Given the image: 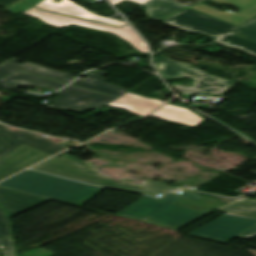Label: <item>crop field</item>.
Wrapping results in <instances>:
<instances>
[{
	"label": "crop field",
	"instance_id": "crop-field-1",
	"mask_svg": "<svg viewBox=\"0 0 256 256\" xmlns=\"http://www.w3.org/2000/svg\"><path fill=\"white\" fill-rule=\"evenodd\" d=\"M0 185L80 206L103 190L32 170L23 171L1 182Z\"/></svg>",
	"mask_w": 256,
	"mask_h": 256
},
{
	"label": "crop field",
	"instance_id": "crop-field-2",
	"mask_svg": "<svg viewBox=\"0 0 256 256\" xmlns=\"http://www.w3.org/2000/svg\"><path fill=\"white\" fill-rule=\"evenodd\" d=\"M33 169L84 181L86 183L131 190L153 196H156L158 193L164 195L171 190V187L166 183L154 180H150L141 186H129L118 183L108 177L94 172L85 161L68 154L58 158L53 157L33 167Z\"/></svg>",
	"mask_w": 256,
	"mask_h": 256
},
{
	"label": "crop field",
	"instance_id": "crop-field-3",
	"mask_svg": "<svg viewBox=\"0 0 256 256\" xmlns=\"http://www.w3.org/2000/svg\"><path fill=\"white\" fill-rule=\"evenodd\" d=\"M163 22L188 31L205 33L217 38L214 40L216 42L235 48H241L256 55V42L227 33V31L234 28L235 25L193 9L187 8L163 20Z\"/></svg>",
	"mask_w": 256,
	"mask_h": 256
},
{
	"label": "crop field",
	"instance_id": "crop-field-4",
	"mask_svg": "<svg viewBox=\"0 0 256 256\" xmlns=\"http://www.w3.org/2000/svg\"><path fill=\"white\" fill-rule=\"evenodd\" d=\"M158 63L163 64L164 67L162 69L159 68ZM156 69L165 79L182 76H188L195 79L193 87L172 85V87L184 94L193 92L223 94L236 83V81L225 80L219 76H211L190 64L174 62L164 56L157 59Z\"/></svg>",
	"mask_w": 256,
	"mask_h": 256
},
{
	"label": "crop field",
	"instance_id": "crop-field-5",
	"mask_svg": "<svg viewBox=\"0 0 256 256\" xmlns=\"http://www.w3.org/2000/svg\"><path fill=\"white\" fill-rule=\"evenodd\" d=\"M24 13L36 16L42 19L43 21L60 28H63L69 24H74V25H79L83 27L108 31L116 34L117 36H119L124 40L129 41L132 44V46L137 48L140 52H148V50H146L141 46L144 43L143 40L133 31V29L129 25L122 28H116L112 26L99 24V23H94L90 21H85L81 19H76V18H71L67 16H62V15L41 11L34 7L28 9Z\"/></svg>",
	"mask_w": 256,
	"mask_h": 256
},
{
	"label": "crop field",
	"instance_id": "crop-field-6",
	"mask_svg": "<svg viewBox=\"0 0 256 256\" xmlns=\"http://www.w3.org/2000/svg\"><path fill=\"white\" fill-rule=\"evenodd\" d=\"M116 97L104 95L90 90L69 85L58 92V99L54 105L42 103L55 109L65 110L66 108L82 112L86 109L99 108L110 103Z\"/></svg>",
	"mask_w": 256,
	"mask_h": 256
},
{
	"label": "crop field",
	"instance_id": "crop-field-7",
	"mask_svg": "<svg viewBox=\"0 0 256 256\" xmlns=\"http://www.w3.org/2000/svg\"><path fill=\"white\" fill-rule=\"evenodd\" d=\"M22 143H26L50 155L68 148L31 132L11 131L9 128L0 125V159Z\"/></svg>",
	"mask_w": 256,
	"mask_h": 256
},
{
	"label": "crop field",
	"instance_id": "crop-field-8",
	"mask_svg": "<svg viewBox=\"0 0 256 256\" xmlns=\"http://www.w3.org/2000/svg\"><path fill=\"white\" fill-rule=\"evenodd\" d=\"M256 225V220L226 214L191 234L227 241Z\"/></svg>",
	"mask_w": 256,
	"mask_h": 256
},
{
	"label": "crop field",
	"instance_id": "crop-field-9",
	"mask_svg": "<svg viewBox=\"0 0 256 256\" xmlns=\"http://www.w3.org/2000/svg\"><path fill=\"white\" fill-rule=\"evenodd\" d=\"M181 197L196 201L202 198L201 195L191 191H186L181 196L175 193H169L162 199L144 196L117 215L141 221Z\"/></svg>",
	"mask_w": 256,
	"mask_h": 256
},
{
	"label": "crop field",
	"instance_id": "crop-field-10",
	"mask_svg": "<svg viewBox=\"0 0 256 256\" xmlns=\"http://www.w3.org/2000/svg\"><path fill=\"white\" fill-rule=\"evenodd\" d=\"M211 211L202 213L171 204L142 222L177 230Z\"/></svg>",
	"mask_w": 256,
	"mask_h": 256
},
{
	"label": "crop field",
	"instance_id": "crop-field-11",
	"mask_svg": "<svg viewBox=\"0 0 256 256\" xmlns=\"http://www.w3.org/2000/svg\"><path fill=\"white\" fill-rule=\"evenodd\" d=\"M48 156L50 155L22 144L0 160V180Z\"/></svg>",
	"mask_w": 256,
	"mask_h": 256
},
{
	"label": "crop field",
	"instance_id": "crop-field-12",
	"mask_svg": "<svg viewBox=\"0 0 256 256\" xmlns=\"http://www.w3.org/2000/svg\"><path fill=\"white\" fill-rule=\"evenodd\" d=\"M215 2L229 3L239 7L241 10L238 13L225 11L221 12L212 7L199 3L191 8L204 12L206 14L212 15L214 17L220 18L227 22L233 23L235 25H240L248 19L256 15V0H212ZM248 14H252L249 16Z\"/></svg>",
	"mask_w": 256,
	"mask_h": 256
},
{
	"label": "crop field",
	"instance_id": "crop-field-13",
	"mask_svg": "<svg viewBox=\"0 0 256 256\" xmlns=\"http://www.w3.org/2000/svg\"><path fill=\"white\" fill-rule=\"evenodd\" d=\"M47 200L0 187V204L11 216Z\"/></svg>",
	"mask_w": 256,
	"mask_h": 256
},
{
	"label": "crop field",
	"instance_id": "crop-field-14",
	"mask_svg": "<svg viewBox=\"0 0 256 256\" xmlns=\"http://www.w3.org/2000/svg\"><path fill=\"white\" fill-rule=\"evenodd\" d=\"M18 60L15 58H12L5 63L0 65V78L5 77L17 70L37 74L40 76L48 77L51 79L63 81V82H71L74 77H71L65 73L57 72L33 63H27V64H18L16 63Z\"/></svg>",
	"mask_w": 256,
	"mask_h": 256
},
{
	"label": "crop field",
	"instance_id": "crop-field-15",
	"mask_svg": "<svg viewBox=\"0 0 256 256\" xmlns=\"http://www.w3.org/2000/svg\"><path fill=\"white\" fill-rule=\"evenodd\" d=\"M50 1L51 0H45L44 2L36 5V7L49 10V11L58 12V13H63V14L82 17L86 19L99 21V22H104V23H108L116 26L126 25V23H123V22L98 17L84 10L83 8L77 6L76 4L70 2L69 0H62L59 4H55Z\"/></svg>",
	"mask_w": 256,
	"mask_h": 256
},
{
	"label": "crop field",
	"instance_id": "crop-field-16",
	"mask_svg": "<svg viewBox=\"0 0 256 256\" xmlns=\"http://www.w3.org/2000/svg\"><path fill=\"white\" fill-rule=\"evenodd\" d=\"M162 103V101L146 99L126 92L111 102L110 105L122 107L133 113L145 116Z\"/></svg>",
	"mask_w": 256,
	"mask_h": 256
},
{
	"label": "crop field",
	"instance_id": "crop-field-17",
	"mask_svg": "<svg viewBox=\"0 0 256 256\" xmlns=\"http://www.w3.org/2000/svg\"><path fill=\"white\" fill-rule=\"evenodd\" d=\"M0 84L9 86L13 89H15L18 86L22 87H43V86H49L53 88L52 90L56 91L59 88H61L66 83L33 76L21 72H16L2 80H0ZM67 85V84H66Z\"/></svg>",
	"mask_w": 256,
	"mask_h": 256
},
{
	"label": "crop field",
	"instance_id": "crop-field-18",
	"mask_svg": "<svg viewBox=\"0 0 256 256\" xmlns=\"http://www.w3.org/2000/svg\"><path fill=\"white\" fill-rule=\"evenodd\" d=\"M90 72H87L84 74V76L90 78L89 80L79 78L77 81H75L71 85L79 86L82 88L90 89L93 91L101 92V93L116 96V97L128 91L121 87L104 83L105 81L104 76L106 75L105 72L95 71L93 74H89Z\"/></svg>",
	"mask_w": 256,
	"mask_h": 256
},
{
	"label": "crop field",
	"instance_id": "crop-field-19",
	"mask_svg": "<svg viewBox=\"0 0 256 256\" xmlns=\"http://www.w3.org/2000/svg\"><path fill=\"white\" fill-rule=\"evenodd\" d=\"M152 116L193 126H196L204 120L187 109H183L169 104L163 106L161 109L152 114Z\"/></svg>",
	"mask_w": 256,
	"mask_h": 256
},
{
	"label": "crop field",
	"instance_id": "crop-field-20",
	"mask_svg": "<svg viewBox=\"0 0 256 256\" xmlns=\"http://www.w3.org/2000/svg\"><path fill=\"white\" fill-rule=\"evenodd\" d=\"M144 6H146L148 16L153 19H162L186 8L169 0H153Z\"/></svg>",
	"mask_w": 256,
	"mask_h": 256
},
{
	"label": "crop field",
	"instance_id": "crop-field-21",
	"mask_svg": "<svg viewBox=\"0 0 256 256\" xmlns=\"http://www.w3.org/2000/svg\"><path fill=\"white\" fill-rule=\"evenodd\" d=\"M220 210L225 213L256 219V199H244L233 204L220 207Z\"/></svg>",
	"mask_w": 256,
	"mask_h": 256
},
{
	"label": "crop field",
	"instance_id": "crop-field-22",
	"mask_svg": "<svg viewBox=\"0 0 256 256\" xmlns=\"http://www.w3.org/2000/svg\"><path fill=\"white\" fill-rule=\"evenodd\" d=\"M11 228L5 213L0 208V247L4 249V256H16Z\"/></svg>",
	"mask_w": 256,
	"mask_h": 256
},
{
	"label": "crop field",
	"instance_id": "crop-field-23",
	"mask_svg": "<svg viewBox=\"0 0 256 256\" xmlns=\"http://www.w3.org/2000/svg\"><path fill=\"white\" fill-rule=\"evenodd\" d=\"M173 204L188 207V208L195 209V210L202 211V212H205V211L211 209L212 207L223 205L217 199L207 197V196H203V198L201 200H199L198 202L192 201L189 199H185V198H181V199L177 200L176 202H174Z\"/></svg>",
	"mask_w": 256,
	"mask_h": 256
},
{
	"label": "crop field",
	"instance_id": "crop-field-24",
	"mask_svg": "<svg viewBox=\"0 0 256 256\" xmlns=\"http://www.w3.org/2000/svg\"><path fill=\"white\" fill-rule=\"evenodd\" d=\"M232 33L256 41V16L238 26Z\"/></svg>",
	"mask_w": 256,
	"mask_h": 256
},
{
	"label": "crop field",
	"instance_id": "crop-field-25",
	"mask_svg": "<svg viewBox=\"0 0 256 256\" xmlns=\"http://www.w3.org/2000/svg\"><path fill=\"white\" fill-rule=\"evenodd\" d=\"M172 1L181 3V4L186 5V6L189 7V6L193 5V4L202 2V1H204V0H172Z\"/></svg>",
	"mask_w": 256,
	"mask_h": 256
},
{
	"label": "crop field",
	"instance_id": "crop-field-26",
	"mask_svg": "<svg viewBox=\"0 0 256 256\" xmlns=\"http://www.w3.org/2000/svg\"><path fill=\"white\" fill-rule=\"evenodd\" d=\"M256 235V227L250 229L249 231L243 233L242 235L238 236V238H250Z\"/></svg>",
	"mask_w": 256,
	"mask_h": 256
},
{
	"label": "crop field",
	"instance_id": "crop-field-27",
	"mask_svg": "<svg viewBox=\"0 0 256 256\" xmlns=\"http://www.w3.org/2000/svg\"><path fill=\"white\" fill-rule=\"evenodd\" d=\"M16 1H18V0H0V6L6 7Z\"/></svg>",
	"mask_w": 256,
	"mask_h": 256
},
{
	"label": "crop field",
	"instance_id": "crop-field-28",
	"mask_svg": "<svg viewBox=\"0 0 256 256\" xmlns=\"http://www.w3.org/2000/svg\"><path fill=\"white\" fill-rule=\"evenodd\" d=\"M112 4H116L118 1H120V0H109ZM132 1H135V2H138V3H141V4H143V3H145V2H147L148 0H132Z\"/></svg>",
	"mask_w": 256,
	"mask_h": 256
},
{
	"label": "crop field",
	"instance_id": "crop-field-29",
	"mask_svg": "<svg viewBox=\"0 0 256 256\" xmlns=\"http://www.w3.org/2000/svg\"><path fill=\"white\" fill-rule=\"evenodd\" d=\"M25 95H27V96H32V97H37V98L42 97V95L32 94V93H26Z\"/></svg>",
	"mask_w": 256,
	"mask_h": 256
}]
</instances>
